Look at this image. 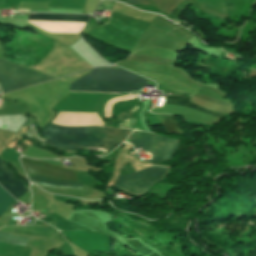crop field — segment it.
Returning a JSON list of instances; mask_svg holds the SVG:
<instances>
[{
    "mask_svg": "<svg viewBox=\"0 0 256 256\" xmlns=\"http://www.w3.org/2000/svg\"><path fill=\"white\" fill-rule=\"evenodd\" d=\"M108 128L106 127H60L49 124L41 133L49 138L45 143L67 150L75 148L102 147L106 144Z\"/></svg>",
    "mask_w": 256,
    "mask_h": 256,
    "instance_id": "8a807250",
    "label": "crop field"
},
{
    "mask_svg": "<svg viewBox=\"0 0 256 256\" xmlns=\"http://www.w3.org/2000/svg\"><path fill=\"white\" fill-rule=\"evenodd\" d=\"M79 80L146 82L144 79L121 69H97ZM94 81H76L70 85V91L121 93L146 86V83Z\"/></svg>",
    "mask_w": 256,
    "mask_h": 256,
    "instance_id": "ac0d7876",
    "label": "crop field"
},
{
    "mask_svg": "<svg viewBox=\"0 0 256 256\" xmlns=\"http://www.w3.org/2000/svg\"><path fill=\"white\" fill-rule=\"evenodd\" d=\"M53 78L0 59L2 93Z\"/></svg>",
    "mask_w": 256,
    "mask_h": 256,
    "instance_id": "34b2d1b8",
    "label": "crop field"
},
{
    "mask_svg": "<svg viewBox=\"0 0 256 256\" xmlns=\"http://www.w3.org/2000/svg\"><path fill=\"white\" fill-rule=\"evenodd\" d=\"M167 170V167L152 165L148 169L120 174L114 186L130 194L142 195L154 182L162 179Z\"/></svg>",
    "mask_w": 256,
    "mask_h": 256,
    "instance_id": "412701ff",
    "label": "crop field"
},
{
    "mask_svg": "<svg viewBox=\"0 0 256 256\" xmlns=\"http://www.w3.org/2000/svg\"><path fill=\"white\" fill-rule=\"evenodd\" d=\"M20 160L27 173L42 175L45 177L59 179V180H66V181L77 182L78 180L79 173L77 172L52 166V165L35 161L26 157H21Z\"/></svg>",
    "mask_w": 256,
    "mask_h": 256,
    "instance_id": "f4fd0767",
    "label": "crop field"
},
{
    "mask_svg": "<svg viewBox=\"0 0 256 256\" xmlns=\"http://www.w3.org/2000/svg\"><path fill=\"white\" fill-rule=\"evenodd\" d=\"M0 185L3 186L16 199L26 191L22 180L18 179L15 172L7 168L0 160Z\"/></svg>",
    "mask_w": 256,
    "mask_h": 256,
    "instance_id": "dd49c442",
    "label": "crop field"
},
{
    "mask_svg": "<svg viewBox=\"0 0 256 256\" xmlns=\"http://www.w3.org/2000/svg\"><path fill=\"white\" fill-rule=\"evenodd\" d=\"M178 145V140L162 137L157 134L155 145L151 152L152 162L171 160Z\"/></svg>",
    "mask_w": 256,
    "mask_h": 256,
    "instance_id": "e52e79f7",
    "label": "crop field"
},
{
    "mask_svg": "<svg viewBox=\"0 0 256 256\" xmlns=\"http://www.w3.org/2000/svg\"><path fill=\"white\" fill-rule=\"evenodd\" d=\"M89 16L28 14L27 20L86 22Z\"/></svg>",
    "mask_w": 256,
    "mask_h": 256,
    "instance_id": "d8731c3e",
    "label": "crop field"
},
{
    "mask_svg": "<svg viewBox=\"0 0 256 256\" xmlns=\"http://www.w3.org/2000/svg\"><path fill=\"white\" fill-rule=\"evenodd\" d=\"M154 135L152 133L135 131L131 133V143L135 148L142 147L144 151H150L153 145Z\"/></svg>",
    "mask_w": 256,
    "mask_h": 256,
    "instance_id": "5a996713",
    "label": "crop field"
},
{
    "mask_svg": "<svg viewBox=\"0 0 256 256\" xmlns=\"http://www.w3.org/2000/svg\"><path fill=\"white\" fill-rule=\"evenodd\" d=\"M29 180L40 184L44 186H49V187H57V188H79L82 189V185L78 183H73V182H63V181H57V180H52L40 176H32L28 175Z\"/></svg>",
    "mask_w": 256,
    "mask_h": 256,
    "instance_id": "3316defc",
    "label": "crop field"
},
{
    "mask_svg": "<svg viewBox=\"0 0 256 256\" xmlns=\"http://www.w3.org/2000/svg\"><path fill=\"white\" fill-rule=\"evenodd\" d=\"M190 98H191V97H187V96L170 95V96H167V97H166L165 102L189 106V107H192V108H194V109H196V110H199V111H202V112H204V113H207V114H210V115H214V116H217V117H219V116L222 115L221 113L209 111V110H206V109H204V108H201V107H199V106H196V105L190 103V102H189Z\"/></svg>",
    "mask_w": 256,
    "mask_h": 256,
    "instance_id": "28ad6ade",
    "label": "crop field"
},
{
    "mask_svg": "<svg viewBox=\"0 0 256 256\" xmlns=\"http://www.w3.org/2000/svg\"><path fill=\"white\" fill-rule=\"evenodd\" d=\"M14 201H16V200L10 194H8L2 187H0V215Z\"/></svg>",
    "mask_w": 256,
    "mask_h": 256,
    "instance_id": "d1516ede",
    "label": "crop field"
},
{
    "mask_svg": "<svg viewBox=\"0 0 256 256\" xmlns=\"http://www.w3.org/2000/svg\"><path fill=\"white\" fill-rule=\"evenodd\" d=\"M168 132H182L171 116L157 114Z\"/></svg>",
    "mask_w": 256,
    "mask_h": 256,
    "instance_id": "22f410ed",
    "label": "crop field"
},
{
    "mask_svg": "<svg viewBox=\"0 0 256 256\" xmlns=\"http://www.w3.org/2000/svg\"><path fill=\"white\" fill-rule=\"evenodd\" d=\"M0 241L24 246L27 238L22 236L8 235L0 232Z\"/></svg>",
    "mask_w": 256,
    "mask_h": 256,
    "instance_id": "cbeb9de0",
    "label": "crop field"
},
{
    "mask_svg": "<svg viewBox=\"0 0 256 256\" xmlns=\"http://www.w3.org/2000/svg\"><path fill=\"white\" fill-rule=\"evenodd\" d=\"M127 1L130 2L131 4L138 3L137 0H127Z\"/></svg>",
    "mask_w": 256,
    "mask_h": 256,
    "instance_id": "5142ce71",
    "label": "crop field"
}]
</instances>
